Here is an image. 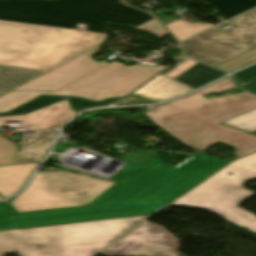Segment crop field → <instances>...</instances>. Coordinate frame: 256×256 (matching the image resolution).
Masks as SVG:
<instances>
[{
    "mask_svg": "<svg viewBox=\"0 0 256 256\" xmlns=\"http://www.w3.org/2000/svg\"><path fill=\"white\" fill-rule=\"evenodd\" d=\"M152 19L119 0H0V65L50 71L99 46L109 25Z\"/></svg>",
    "mask_w": 256,
    "mask_h": 256,
    "instance_id": "1",
    "label": "crop field"
},
{
    "mask_svg": "<svg viewBox=\"0 0 256 256\" xmlns=\"http://www.w3.org/2000/svg\"><path fill=\"white\" fill-rule=\"evenodd\" d=\"M158 157L128 167L112 179L118 183L87 206L18 213L9 202H1L0 230L154 214L229 163L195 155L170 169Z\"/></svg>",
    "mask_w": 256,
    "mask_h": 256,
    "instance_id": "2",
    "label": "crop field"
},
{
    "mask_svg": "<svg viewBox=\"0 0 256 256\" xmlns=\"http://www.w3.org/2000/svg\"><path fill=\"white\" fill-rule=\"evenodd\" d=\"M232 88L228 76L200 90L201 94L155 106L143 114L194 149L206 150L209 144L222 142L236 148L237 158L256 151V135L218 123L256 108V96L245 91L210 99L203 96Z\"/></svg>",
    "mask_w": 256,
    "mask_h": 256,
    "instance_id": "3",
    "label": "crop field"
},
{
    "mask_svg": "<svg viewBox=\"0 0 256 256\" xmlns=\"http://www.w3.org/2000/svg\"><path fill=\"white\" fill-rule=\"evenodd\" d=\"M149 216L0 231V256H93Z\"/></svg>",
    "mask_w": 256,
    "mask_h": 256,
    "instance_id": "4",
    "label": "crop field"
},
{
    "mask_svg": "<svg viewBox=\"0 0 256 256\" xmlns=\"http://www.w3.org/2000/svg\"><path fill=\"white\" fill-rule=\"evenodd\" d=\"M229 171L235 174H226ZM253 178H256V153L233 161L173 203L208 209L256 232V216L236 206L254 193L241 185Z\"/></svg>",
    "mask_w": 256,
    "mask_h": 256,
    "instance_id": "5",
    "label": "crop field"
},
{
    "mask_svg": "<svg viewBox=\"0 0 256 256\" xmlns=\"http://www.w3.org/2000/svg\"><path fill=\"white\" fill-rule=\"evenodd\" d=\"M113 184L72 171H37L11 204L18 212L87 205Z\"/></svg>",
    "mask_w": 256,
    "mask_h": 256,
    "instance_id": "6",
    "label": "crop field"
},
{
    "mask_svg": "<svg viewBox=\"0 0 256 256\" xmlns=\"http://www.w3.org/2000/svg\"><path fill=\"white\" fill-rule=\"evenodd\" d=\"M227 23L226 30L214 27L182 42L186 54L213 66L256 47V8Z\"/></svg>",
    "mask_w": 256,
    "mask_h": 256,
    "instance_id": "7",
    "label": "crop field"
},
{
    "mask_svg": "<svg viewBox=\"0 0 256 256\" xmlns=\"http://www.w3.org/2000/svg\"><path fill=\"white\" fill-rule=\"evenodd\" d=\"M165 67L114 62L50 95L79 96L93 101L124 96Z\"/></svg>",
    "mask_w": 256,
    "mask_h": 256,
    "instance_id": "8",
    "label": "crop field"
},
{
    "mask_svg": "<svg viewBox=\"0 0 256 256\" xmlns=\"http://www.w3.org/2000/svg\"><path fill=\"white\" fill-rule=\"evenodd\" d=\"M178 240L163 227L144 222L102 251L106 256H177Z\"/></svg>",
    "mask_w": 256,
    "mask_h": 256,
    "instance_id": "9",
    "label": "crop field"
},
{
    "mask_svg": "<svg viewBox=\"0 0 256 256\" xmlns=\"http://www.w3.org/2000/svg\"><path fill=\"white\" fill-rule=\"evenodd\" d=\"M101 47H97L86 54L34 79L33 81L15 89L32 91H55L63 86L91 73L106 65L107 61L98 63L90 57Z\"/></svg>",
    "mask_w": 256,
    "mask_h": 256,
    "instance_id": "10",
    "label": "crop field"
},
{
    "mask_svg": "<svg viewBox=\"0 0 256 256\" xmlns=\"http://www.w3.org/2000/svg\"><path fill=\"white\" fill-rule=\"evenodd\" d=\"M72 114L73 111L64 100L26 115L0 117V124L21 120V124H28L30 130L51 129V126L62 125Z\"/></svg>",
    "mask_w": 256,
    "mask_h": 256,
    "instance_id": "11",
    "label": "crop field"
},
{
    "mask_svg": "<svg viewBox=\"0 0 256 256\" xmlns=\"http://www.w3.org/2000/svg\"><path fill=\"white\" fill-rule=\"evenodd\" d=\"M192 90L194 89L166 75L160 74L132 95L160 102L175 98Z\"/></svg>",
    "mask_w": 256,
    "mask_h": 256,
    "instance_id": "12",
    "label": "crop field"
},
{
    "mask_svg": "<svg viewBox=\"0 0 256 256\" xmlns=\"http://www.w3.org/2000/svg\"><path fill=\"white\" fill-rule=\"evenodd\" d=\"M37 165L29 163L0 167V195L5 198L14 194Z\"/></svg>",
    "mask_w": 256,
    "mask_h": 256,
    "instance_id": "13",
    "label": "crop field"
},
{
    "mask_svg": "<svg viewBox=\"0 0 256 256\" xmlns=\"http://www.w3.org/2000/svg\"><path fill=\"white\" fill-rule=\"evenodd\" d=\"M66 99L69 105L71 106L74 113L79 112L83 109L91 108V107H98V106H104L108 104H112L116 102L117 100L121 99H110L107 101H103L100 103L92 102L80 98H69V97H51V96H41L38 99L34 100L33 102L22 106L8 114H1L0 116H9V115H19V114H26L31 111L37 110L39 108L48 106L50 104L56 103L58 101Z\"/></svg>",
    "mask_w": 256,
    "mask_h": 256,
    "instance_id": "14",
    "label": "crop field"
},
{
    "mask_svg": "<svg viewBox=\"0 0 256 256\" xmlns=\"http://www.w3.org/2000/svg\"><path fill=\"white\" fill-rule=\"evenodd\" d=\"M57 131H43L38 136L23 137L15 163L41 161Z\"/></svg>",
    "mask_w": 256,
    "mask_h": 256,
    "instance_id": "15",
    "label": "crop field"
},
{
    "mask_svg": "<svg viewBox=\"0 0 256 256\" xmlns=\"http://www.w3.org/2000/svg\"><path fill=\"white\" fill-rule=\"evenodd\" d=\"M46 73L30 69L0 66V96Z\"/></svg>",
    "mask_w": 256,
    "mask_h": 256,
    "instance_id": "16",
    "label": "crop field"
},
{
    "mask_svg": "<svg viewBox=\"0 0 256 256\" xmlns=\"http://www.w3.org/2000/svg\"><path fill=\"white\" fill-rule=\"evenodd\" d=\"M223 74L225 73L198 63L175 79L196 89Z\"/></svg>",
    "mask_w": 256,
    "mask_h": 256,
    "instance_id": "17",
    "label": "crop field"
},
{
    "mask_svg": "<svg viewBox=\"0 0 256 256\" xmlns=\"http://www.w3.org/2000/svg\"><path fill=\"white\" fill-rule=\"evenodd\" d=\"M218 12L210 15L214 18L222 15L223 20L256 5V0H203ZM227 20V19H226Z\"/></svg>",
    "mask_w": 256,
    "mask_h": 256,
    "instance_id": "18",
    "label": "crop field"
},
{
    "mask_svg": "<svg viewBox=\"0 0 256 256\" xmlns=\"http://www.w3.org/2000/svg\"><path fill=\"white\" fill-rule=\"evenodd\" d=\"M44 92L14 91L0 97V112H8ZM38 97V96H37Z\"/></svg>",
    "mask_w": 256,
    "mask_h": 256,
    "instance_id": "19",
    "label": "crop field"
},
{
    "mask_svg": "<svg viewBox=\"0 0 256 256\" xmlns=\"http://www.w3.org/2000/svg\"><path fill=\"white\" fill-rule=\"evenodd\" d=\"M212 26L211 24L206 23H191L183 20H179L173 23L166 25V27L173 33V35L179 40H183L195 33H198L208 27Z\"/></svg>",
    "mask_w": 256,
    "mask_h": 256,
    "instance_id": "20",
    "label": "crop field"
},
{
    "mask_svg": "<svg viewBox=\"0 0 256 256\" xmlns=\"http://www.w3.org/2000/svg\"><path fill=\"white\" fill-rule=\"evenodd\" d=\"M249 132L256 131V109L221 122Z\"/></svg>",
    "mask_w": 256,
    "mask_h": 256,
    "instance_id": "21",
    "label": "crop field"
},
{
    "mask_svg": "<svg viewBox=\"0 0 256 256\" xmlns=\"http://www.w3.org/2000/svg\"><path fill=\"white\" fill-rule=\"evenodd\" d=\"M255 61H256V49H253V50L248 51L242 55H239L235 58H232L228 61H225L221 64L216 65V68H218L224 72H230L234 69H237L244 65H248Z\"/></svg>",
    "mask_w": 256,
    "mask_h": 256,
    "instance_id": "22",
    "label": "crop field"
},
{
    "mask_svg": "<svg viewBox=\"0 0 256 256\" xmlns=\"http://www.w3.org/2000/svg\"><path fill=\"white\" fill-rule=\"evenodd\" d=\"M233 77L238 86L248 82L252 83L251 91L256 93V65L233 74Z\"/></svg>",
    "mask_w": 256,
    "mask_h": 256,
    "instance_id": "23",
    "label": "crop field"
},
{
    "mask_svg": "<svg viewBox=\"0 0 256 256\" xmlns=\"http://www.w3.org/2000/svg\"><path fill=\"white\" fill-rule=\"evenodd\" d=\"M16 147L14 144L0 137V165L11 164L14 159Z\"/></svg>",
    "mask_w": 256,
    "mask_h": 256,
    "instance_id": "24",
    "label": "crop field"
},
{
    "mask_svg": "<svg viewBox=\"0 0 256 256\" xmlns=\"http://www.w3.org/2000/svg\"><path fill=\"white\" fill-rule=\"evenodd\" d=\"M136 29L154 33L157 38H161L168 33L155 19Z\"/></svg>",
    "mask_w": 256,
    "mask_h": 256,
    "instance_id": "25",
    "label": "crop field"
},
{
    "mask_svg": "<svg viewBox=\"0 0 256 256\" xmlns=\"http://www.w3.org/2000/svg\"><path fill=\"white\" fill-rule=\"evenodd\" d=\"M196 63L197 62L188 59L185 62H183L182 64H180L179 66H177L176 68H174L173 70H171L170 72H168L166 75L174 78L177 75L184 72L185 70H187L188 68H190L191 66L195 65Z\"/></svg>",
    "mask_w": 256,
    "mask_h": 256,
    "instance_id": "26",
    "label": "crop field"
},
{
    "mask_svg": "<svg viewBox=\"0 0 256 256\" xmlns=\"http://www.w3.org/2000/svg\"><path fill=\"white\" fill-rule=\"evenodd\" d=\"M147 103H153L149 100L143 99L141 97L138 96H129L127 97L125 100H123L122 102H120L117 105H125V104H147Z\"/></svg>",
    "mask_w": 256,
    "mask_h": 256,
    "instance_id": "27",
    "label": "crop field"
},
{
    "mask_svg": "<svg viewBox=\"0 0 256 256\" xmlns=\"http://www.w3.org/2000/svg\"><path fill=\"white\" fill-rule=\"evenodd\" d=\"M251 85H252V84L248 83V84H245V85L240 86V87H242V88L247 89V90L250 91Z\"/></svg>",
    "mask_w": 256,
    "mask_h": 256,
    "instance_id": "28",
    "label": "crop field"
},
{
    "mask_svg": "<svg viewBox=\"0 0 256 256\" xmlns=\"http://www.w3.org/2000/svg\"><path fill=\"white\" fill-rule=\"evenodd\" d=\"M197 93H201V92L197 91V92H195V93H192V94H190V95H193V94H197ZM187 96H189V95H187Z\"/></svg>",
    "mask_w": 256,
    "mask_h": 256,
    "instance_id": "29",
    "label": "crop field"
},
{
    "mask_svg": "<svg viewBox=\"0 0 256 256\" xmlns=\"http://www.w3.org/2000/svg\"><path fill=\"white\" fill-rule=\"evenodd\" d=\"M1 198V197H0Z\"/></svg>",
    "mask_w": 256,
    "mask_h": 256,
    "instance_id": "30",
    "label": "crop field"
}]
</instances>
